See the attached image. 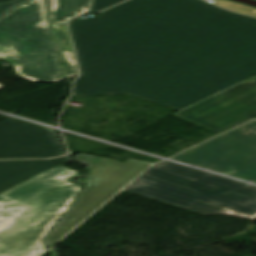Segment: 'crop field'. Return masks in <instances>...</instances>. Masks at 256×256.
<instances>
[{
  "label": "crop field",
  "instance_id": "obj_18",
  "mask_svg": "<svg viewBox=\"0 0 256 256\" xmlns=\"http://www.w3.org/2000/svg\"><path fill=\"white\" fill-rule=\"evenodd\" d=\"M235 177H239L245 180H249L256 183V168L248 169V170H242L232 173H226Z\"/></svg>",
  "mask_w": 256,
  "mask_h": 256
},
{
  "label": "crop field",
  "instance_id": "obj_4",
  "mask_svg": "<svg viewBox=\"0 0 256 256\" xmlns=\"http://www.w3.org/2000/svg\"><path fill=\"white\" fill-rule=\"evenodd\" d=\"M75 160L91 167L90 177L86 179L87 185L80 192L79 199L45 238L49 247L151 165L134 160L121 164L113 160L98 159L87 155H78Z\"/></svg>",
  "mask_w": 256,
  "mask_h": 256
},
{
  "label": "crop field",
  "instance_id": "obj_12",
  "mask_svg": "<svg viewBox=\"0 0 256 256\" xmlns=\"http://www.w3.org/2000/svg\"><path fill=\"white\" fill-rule=\"evenodd\" d=\"M145 174H147L151 177L157 178L159 180L168 182L170 184L176 185V186H180V187L191 189L193 191H197L194 188V186H191V184L194 182V180L177 176L175 174H172L170 172H167L165 170H162V169L154 167V166L149 168L145 172Z\"/></svg>",
  "mask_w": 256,
  "mask_h": 256
},
{
  "label": "crop field",
  "instance_id": "obj_20",
  "mask_svg": "<svg viewBox=\"0 0 256 256\" xmlns=\"http://www.w3.org/2000/svg\"><path fill=\"white\" fill-rule=\"evenodd\" d=\"M123 0H93V6L91 11H99L103 8L110 7Z\"/></svg>",
  "mask_w": 256,
  "mask_h": 256
},
{
  "label": "crop field",
  "instance_id": "obj_19",
  "mask_svg": "<svg viewBox=\"0 0 256 256\" xmlns=\"http://www.w3.org/2000/svg\"><path fill=\"white\" fill-rule=\"evenodd\" d=\"M31 0H15L10 2H5L0 4V17L6 14L7 12L11 11L15 7L27 3Z\"/></svg>",
  "mask_w": 256,
  "mask_h": 256
},
{
  "label": "crop field",
  "instance_id": "obj_9",
  "mask_svg": "<svg viewBox=\"0 0 256 256\" xmlns=\"http://www.w3.org/2000/svg\"><path fill=\"white\" fill-rule=\"evenodd\" d=\"M69 161L71 159L67 156L52 160L0 161V193Z\"/></svg>",
  "mask_w": 256,
  "mask_h": 256
},
{
  "label": "crop field",
  "instance_id": "obj_3",
  "mask_svg": "<svg viewBox=\"0 0 256 256\" xmlns=\"http://www.w3.org/2000/svg\"><path fill=\"white\" fill-rule=\"evenodd\" d=\"M43 0L22 5L0 20V58L34 82L63 80L57 61L58 46L47 31Z\"/></svg>",
  "mask_w": 256,
  "mask_h": 256
},
{
  "label": "crop field",
  "instance_id": "obj_22",
  "mask_svg": "<svg viewBox=\"0 0 256 256\" xmlns=\"http://www.w3.org/2000/svg\"><path fill=\"white\" fill-rule=\"evenodd\" d=\"M5 1H10V0H0V3H1V2H5Z\"/></svg>",
  "mask_w": 256,
  "mask_h": 256
},
{
  "label": "crop field",
  "instance_id": "obj_15",
  "mask_svg": "<svg viewBox=\"0 0 256 256\" xmlns=\"http://www.w3.org/2000/svg\"><path fill=\"white\" fill-rule=\"evenodd\" d=\"M62 61L66 63L65 77L70 78L78 75L73 53L61 50Z\"/></svg>",
  "mask_w": 256,
  "mask_h": 256
},
{
  "label": "crop field",
  "instance_id": "obj_17",
  "mask_svg": "<svg viewBox=\"0 0 256 256\" xmlns=\"http://www.w3.org/2000/svg\"><path fill=\"white\" fill-rule=\"evenodd\" d=\"M58 39L62 42L63 48L72 50L69 35L66 26L52 31Z\"/></svg>",
  "mask_w": 256,
  "mask_h": 256
},
{
  "label": "crop field",
  "instance_id": "obj_23",
  "mask_svg": "<svg viewBox=\"0 0 256 256\" xmlns=\"http://www.w3.org/2000/svg\"><path fill=\"white\" fill-rule=\"evenodd\" d=\"M0 87H2V85H0Z\"/></svg>",
  "mask_w": 256,
  "mask_h": 256
},
{
  "label": "crop field",
  "instance_id": "obj_10",
  "mask_svg": "<svg viewBox=\"0 0 256 256\" xmlns=\"http://www.w3.org/2000/svg\"><path fill=\"white\" fill-rule=\"evenodd\" d=\"M154 166L168 170V171L175 173L177 175H180V176L194 179L195 182L192 185H194L196 187V189L198 190V192H200V193L211 194V193H216V192L229 191V189H227L225 187H222V186H219L216 184H212V183L202 182L197 179L200 177L212 176L211 174L201 172L198 170H194V169L184 167L181 165H177V164L167 162V161H162ZM232 191L235 193L243 194V195H246L253 199H256V186L250 185L248 187L235 189Z\"/></svg>",
  "mask_w": 256,
  "mask_h": 256
},
{
  "label": "crop field",
  "instance_id": "obj_6",
  "mask_svg": "<svg viewBox=\"0 0 256 256\" xmlns=\"http://www.w3.org/2000/svg\"><path fill=\"white\" fill-rule=\"evenodd\" d=\"M175 115L222 133L256 118V81L239 83Z\"/></svg>",
  "mask_w": 256,
  "mask_h": 256
},
{
  "label": "crop field",
  "instance_id": "obj_5",
  "mask_svg": "<svg viewBox=\"0 0 256 256\" xmlns=\"http://www.w3.org/2000/svg\"><path fill=\"white\" fill-rule=\"evenodd\" d=\"M171 159L222 173L256 167V121H251Z\"/></svg>",
  "mask_w": 256,
  "mask_h": 256
},
{
  "label": "crop field",
  "instance_id": "obj_21",
  "mask_svg": "<svg viewBox=\"0 0 256 256\" xmlns=\"http://www.w3.org/2000/svg\"><path fill=\"white\" fill-rule=\"evenodd\" d=\"M51 256H56V250L55 249L51 250Z\"/></svg>",
  "mask_w": 256,
  "mask_h": 256
},
{
  "label": "crop field",
  "instance_id": "obj_14",
  "mask_svg": "<svg viewBox=\"0 0 256 256\" xmlns=\"http://www.w3.org/2000/svg\"><path fill=\"white\" fill-rule=\"evenodd\" d=\"M216 1L214 4L222 6L224 8H227L229 10H232L234 12L246 14V15H251L256 17V9L251 8L248 6H244L238 3H234L228 0H214Z\"/></svg>",
  "mask_w": 256,
  "mask_h": 256
},
{
  "label": "crop field",
  "instance_id": "obj_1",
  "mask_svg": "<svg viewBox=\"0 0 256 256\" xmlns=\"http://www.w3.org/2000/svg\"><path fill=\"white\" fill-rule=\"evenodd\" d=\"M68 24L82 73L73 95L182 110L256 75V18L202 0H129Z\"/></svg>",
  "mask_w": 256,
  "mask_h": 256
},
{
  "label": "crop field",
  "instance_id": "obj_13",
  "mask_svg": "<svg viewBox=\"0 0 256 256\" xmlns=\"http://www.w3.org/2000/svg\"><path fill=\"white\" fill-rule=\"evenodd\" d=\"M185 209H189L195 212H199L202 214H206V215H213V214H225V215H230V216H234V217H247L235 212H231L204 202H200L197 201L193 204H191L190 206L186 207ZM250 218V217H249Z\"/></svg>",
  "mask_w": 256,
  "mask_h": 256
},
{
  "label": "crop field",
  "instance_id": "obj_8",
  "mask_svg": "<svg viewBox=\"0 0 256 256\" xmlns=\"http://www.w3.org/2000/svg\"><path fill=\"white\" fill-rule=\"evenodd\" d=\"M54 133L15 118L0 122V159L63 155Z\"/></svg>",
  "mask_w": 256,
  "mask_h": 256
},
{
  "label": "crop field",
  "instance_id": "obj_11",
  "mask_svg": "<svg viewBox=\"0 0 256 256\" xmlns=\"http://www.w3.org/2000/svg\"><path fill=\"white\" fill-rule=\"evenodd\" d=\"M51 14L49 15L51 30L64 26L66 21L89 9L91 0H48Z\"/></svg>",
  "mask_w": 256,
  "mask_h": 256
},
{
  "label": "crop field",
  "instance_id": "obj_7",
  "mask_svg": "<svg viewBox=\"0 0 256 256\" xmlns=\"http://www.w3.org/2000/svg\"><path fill=\"white\" fill-rule=\"evenodd\" d=\"M124 190L154 198L179 207H186L200 200L247 216L256 214V200L232 191L204 195L188 189L172 186L146 175L139 176Z\"/></svg>",
  "mask_w": 256,
  "mask_h": 256
},
{
  "label": "crop field",
  "instance_id": "obj_16",
  "mask_svg": "<svg viewBox=\"0 0 256 256\" xmlns=\"http://www.w3.org/2000/svg\"><path fill=\"white\" fill-rule=\"evenodd\" d=\"M200 180L216 183V184H219V185H223V186H225L229 189H235V188L248 186L246 184L239 183V182L232 181V180L225 179V178L218 177V176L200 178Z\"/></svg>",
  "mask_w": 256,
  "mask_h": 256
},
{
  "label": "crop field",
  "instance_id": "obj_2",
  "mask_svg": "<svg viewBox=\"0 0 256 256\" xmlns=\"http://www.w3.org/2000/svg\"><path fill=\"white\" fill-rule=\"evenodd\" d=\"M73 171L58 166L0 194V256L46 251L42 238L81 188L68 182Z\"/></svg>",
  "mask_w": 256,
  "mask_h": 256
}]
</instances>
